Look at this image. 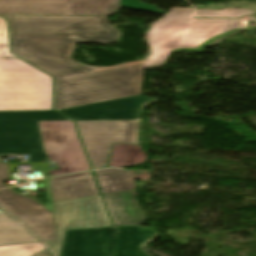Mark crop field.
<instances>
[{"mask_svg": "<svg viewBox=\"0 0 256 256\" xmlns=\"http://www.w3.org/2000/svg\"><path fill=\"white\" fill-rule=\"evenodd\" d=\"M193 9L172 8L147 35L148 60L111 68L84 67L69 56L75 42H113L117 29L106 17L0 15L9 21L12 53L55 77V109L137 96L141 69L161 65L175 50L206 44L246 28L245 20H195Z\"/></svg>", "mask_w": 256, "mask_h": 256, "instance_id": "crop-field-1", "label": "crop field"}, {"mask_svg": "<svg viewBox=\"0 0 256 256\" xmlns=\"http://www.w3.org/2000/svg\"><path fill=\"white\" fill-rule=\"evenodd\" d=\"M158 236L134 225L66 230L60 256H150L141 247Z\"/></svg>", "mask_w": 256, "mask_h": 256, "instance_id": "crop-field-2", "label": "crop field"}, {"mask_svg": "<svg viewBox=\"0 0 256 256\" xmlns=\"http://www.w3.org/2000/svg\"><path fill=\"white\" fill-rule=\"evenodd\" d=\"M2 110H52V78L20 59H0Z\"/></svg>", "mask_w": 256, "mask_h": 256, "instance_id": "crop-field-3", "label": "crop field"}, {"mask_svg": "<svg viewBox=\"0 0 256 256\" xmlns=\"http://www.w3.org/2000/svg\"><path fill=\"white\" fill-rule=\"evenodd\" d=\"M71 120L55 111L0 112V154H30V162H45L38 121Z\"/></svg>", "mask_w": 256, "mask_h": 256, "instance_id": "crop-field-4", "label": "crop field"}, {"mask_svg": "<svg viewBox=\"0 0 256 256\" xmlns=\"http://www.w3.org/2000/svg\"><path fill=\"white\" fill-rule=\"evenodd\" d=\"M45 151L58 169L49 170L51 176L89 170L73 121L39 122Z\"/></svg>", "mask_w": 256, "mask_h": 256, "instance_id": "crop-field-5", "label": "crop field"}, {"mask_svg": "<svg viewBox=\"0 0 256 256\" xmlns=\"http://www.w3.org/2000/svg\"><path fill=\"white\" fill-rule=\"evenodd\" d=\"M120 0H0V14L111 16Z\"/></svg>", "mask_w": 256, "mask_h": 256, "instance_id": "crop-field-6", "label": "crop field"}, {"mask_svg": "<svg viewBox=\"0 0 256 256\" xmlns=\"http://www.w3.org/2000/svg\"><path fill=\"white\" fill-rule=\"evenodd\" d=\"M58 241L46 242L56 256L60 253L66 229L112 226L100 196H91L52 203Z\"/></svg>", "mask_w": 256, "mask_h": 256, "instance_id": "crop-field-7", "label": "crop field"}, {"mask_svg": "<svg viewBox=\"0 0 256 256\" xmlns=\"http://www.w3.org/2000/svg\"><path fill=\"white\" fill-rule=\"evenodd\" d=\"M47 203L42 204L34 197L23 196L13 188L0 191V206L24 222L44 241L57 240L51 206L50 187L47 179Z\"/></svg>", "mask_w": 256, "mask_h": 256, "instance_id": "crop-field-8", "label": "crop field"}, {"mask_svg": "<svg viewBox=\"0 0 256 256\" xmlns=\"http://www.w3.org/2000/svg\"><path fill=\"white\" fill-rule=\"evenodd\" d=\"M155 98L137 96L109 102L89 104L58 111L74 120H129L139 119L140 109Z\"/></svg>", "mask_w": 256, "mask_h": 256, "instance_id": "crop-field-9", "label": "crop field"}, {"mask_svg": "<svg viewBox=\"0 0 256 256\" xmlns=\"http://www.w3.org/2000/svg\"><path fill=\"white\" fill-rule=\"evenodd\" d=\"M75 122L92 167H106L118 121Z\"/></svg>", "mask_w": 256, "mask_h": 256, "instance_id": "crop-field-10", "label": "crop field"}, {"mask_svg": "<svg viewBox=\"0 0 256 256\" xmlns=\"http://www.w3.org/2000/svg\"><path fill=\"white\" fill-rule=\"evenodd\" d=\"M107 210L115 226L138 225L146 219L136 202L135 191H124L103 195Z\"/></svg>", "mask_w": 256, "mask_h": 256, "instance_id": "crop-field-11", "label": "crop field"}, {"mask_svg": "<svg viewBox=\"0 0 256 256\" xmlns=\"http://www.w3.org/2000/svg\"><path fill=\"white\" fill-rule=\"evenodd\" d=\"M52 202L97 195L91 174L49 181Z\"/></svg>", "mask_w": 256, "mask_h": 256, "instance_id": "crop-field-12", "label": "crop field"}, {"mask_svg": "<svg viewBox=\"0 0 256 256\" xmlns=\"http://www.w3.org/2000/svg\"><path fill=\"white\" fill-rule=\"evenodd\" d=\"M0 223H19L6 213H0ZM40 242L22 224L0 225V245Z\"/></svg>", "mask_w": 256, "mask_h": 256, "instance_id": "crop-field-13", "label": "crop field"}, {"mask_svg": "<svg viewBox=\"0 0 256 256\" xmlns=\"http://www.w3.org/2000/svg\"><path fill=\"white\" fill-rule=\"evenodd\" d=\"M147 154L138 145L113 144L107 167H124L146 162Z\"/></svg>", "mask_w": 256, "mask_h": 256, "instance_id": "crop-field-14", "label": "crop field"}, {"mask_svg": "<svg viewBox=\"0 0 256 256\" xmlns=\"http://www.w3.org/2000/svg\"><path fill=\"white\" fill-rule=\"evenodd\" d=\"M97 178L103 194L135 188L131 171L103 175Z\"/></svg>", "mask_w": 256, "mask_h": 256, "instance_id": "crop-field-15", "label": "crop field"}, {"mask_svg": "<svg viewBox=\"0 0 256 256\" xmlns=\"http://www.w3.org/2000/svg\"><path fill=\"white\" fill-rule=\"evenodd\" d=\"M139 120L119 121L114 143L138 144Z\"/></svg>", "mask_w": 256, "mask_h": 256, "instance_id": "crop-field-16", "label": "crop field"}, {"mask_svg": "<svg viewBox=\"0 0 256 256\" xmlns=\"http://www.w3.org/2000/svg\"><path fill=\"white\" fill-rule=\"evenodd\" d=\"M46 247L42 243H25L0 246V256H32Z\"/></svg>", "mask_w": 256, "mask_h": 256, "instance_id": "crop-field-17", "label": "crop field"}, {"mask_svg": "<svg viewBox=\"0 0 256 256\" xmlns=\"http://www.w3.org/2000/svg\"><path fill=\"white\" fill-rule=\"evenodd\" d=\"M17 165H31V169L41 170L45 177H47L45 163H0V188L5 187L3 180L13 178L10 174Z\"/></svg>", "mask_w": 256, "mask_h": 256, "instance_id": "crop-field-18", "label": "crop field"}, {"mask_svg": "<svg viewBox=\"0 0 256 256\" xmlns=\"http://www.w3.org/2000/svg\"><path fill=\"white\" fill-rule=\"evenodd\" d=\"M253 14L252 10H232L226 9L223 11H205L198 10L193 17H216V18H239L244 15Z\"/></svg>", "mask_w": 256, "mask_h": 256, "instance_id": "crop-field-19", "label": "crop field"}, {"mask_svg": "<svg viewBox=\"0 0 256 256\" xmlns=\"http://www.w3.org/2000/svg\"><path fill=\"white\" fill-rule=\"evenodd\" d=\"M0 58H17L9 53L6 22L0 18Z\"/></svg>", "mask_w": 256, "mask_h": 256, "instance_id": "crop-field-20", "label": "crop field"}, {"mask_svg": "<svg viewBox=\"0 0 256 256\" xmlns=\"http://www.w3.org/2000/svg\"><path fill=\"white\" fill-rule=\"evenodd\" d=\"M121 5L128 8L139 9L160 14H163L165 12L155 8V6L139 3L138 0H121Z\"/></svg>", "mask_w": 256, "mask_h": 256, "instance_id": "crop-field-21", "label": "crop field"}, {"mask_svg": "<svg viewBox=\"0 0 256 256\" xmlns=\"http://www.w3.org/2000/svg\"><path fill=\"white\" fill-rule=\"evenodd\" d=\"M120 171H125V170L111 168V169L96 170L94 172H95V176H98V175H102V174L116 173V172H120Z\"/></svg>", "mask_w": 256, "mask_h": 256, "instance_id": "crop-field-22", "label": "crop field"}, {"mask_svg": "<svg viewBox=\"0 0 256 256\" xmlns=\"http://www.w3.org/2000/svg\"><path fill=\"white\" fill-rule=\"evenodd\" d=\"M49 254H50V252L48 250H44V251H42V252H40V253H38L34 256H51Z\"/></svg>", "mask_w": 256, "mask_h": 256, "instance_id": "crop-field-23", "label": "crop field"}, {"mask_svg": "<svg viewBox=\"0 0 256 256\" xmlns=\"http://www.w3.org/2000/svg\"><path fill=\"white\" fill-rule=\"evenodd\" d=\"M89 173H92V172L82 173V174H75V175L60 176V177H53V178H50V179L53 180V179H59V178H65V177H71V176H77V175H83V174H89Z\"/></svg>", "mask_w": 256, "mask_h": 256, "instance_id": "crop-field-24", "label": "crop field"}]
</instances>
